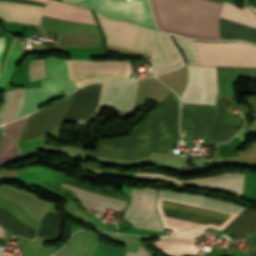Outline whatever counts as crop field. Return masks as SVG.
<instances>
[{"instance_id": "1", "label": "crop field", "mask_w": 256, "mask_h": 256, "mask_svg": "<svg viewBox=\"0 0 256 256\" xmlns=\"http://www.w3.org/2000/svg\"><path fill=\"white\" fill-rule=\"evenodd\" d=\"M179 99L171 91L163 104L148 112L128 137L100 141L96 155L141 160L156 151L167 154L177 138Z\"/></svg>"}, {"instance_id": "2", "label": "crop field", "mask_w": 256, "mask_h": 256, "mask_svg": "<svg viewBox=\"0 0 256 256\" xmlns=\"http://www.w3.org/2000/svg\"><path fill=\"white\" fill-rule=\"evenodd\" d=\"M159 29L197 39H220L223 4L210 0H151Z\"/></svg>"}, {"instance_id": "3", "label": "crop field", "mask_w": 256, "mask_h": 256, "mask_svg": "<svg viewBox=\"0 0 256 256\" xmlns=\"http://www.w3.org/2000/svg\"><path fill=\"white\" fill-rule=\"evenodd\" d=\"M188 80L182 102L216 105L218 85L216 67L187 66ZM182 103L181 135L209 139L216 106Z\"/></svg>"}, {"instance_id": "4", "label": "crop field", "mask_w": 256, "mask_h": 256, "mask_svg": "<svg viewBox=\"0 0 256 256\" xmlns=\"http://www.w3.org/2000/svg\"><path fill=\"white\" fill-rule=\"evenodd\" d=\"M95 13L107 35V44L151 54L153 75L182 65L168 34Z\"/></svg>"}, {"instance_id": "5", "label": "crop field", "mask_w": 256, "mask_h": 256, "mask_svg": "<svg viewBox=\"0 0 256 256\" xmlns=\"http://www.w3.org/2000/svg\"><path fill=\"white\" fill-rule=\"evenodd\" d=\"M43 14L77 22L95 23L88 8L74 6L49 0ZM66 21L44 16L41 27L43 30L57 34L62 33ZM100 36L95 24L67 21L61 36L60 47L100 46Z\"/></svg>"}, {"instance_id": "6", "label": "crop field", "mask_w": 256, "mask_h": 256, "mask_svg": "<svg viewBox=\"0 0 256 256\" xmlns=\"http://www.w3.org/2000/svg\"><path fill=\"white\" fill-rule=\"evenodd\" d=\"M46 62L50 77L41 80L42 88H24L16 119L37 111L36 105L47 99L63 91L68 95L78 88L68 77L66 61L48 58Z\"/></svg>"}, {"instance_id": "7", "label": "crop field", "mask_w": 256, "mask_h": 256, "mask_svg": "<svg viewBox=\"0 0 256 256\" xmlns=\"http://www.w3.org/2000/svg\"><path fill=\"white\" fill-rule=\"evenodd\" d=\"M201 66L227 65L256 67V46L238 42H196Z\"/></svg>"}, {"instance_id": "8", "label": "crop field", "mask_w": 256, "mask_h": 256, "mask_svg": "<svg viewBox=\"0 0 256 256\" xmlns=\"http://www.w3.org/2000/svg\"><path fill=\"white\" fill-rule=\"evenodd\" d=\"M78 4L89 6L109 18L129 19L157 29L148 0H85Z\"/></svg>"}, {"instance_id": "9", "label": "crop field", "mask_w": 256, "mask_h": 256, "mask_svg": "<svg viewBox=\"0 0 256 256\" xmlns=\"http://www.w3.org/2000/svg\"><path fill=\"white\" fill-rule=\"evenodd\" d=\"M73 94L30 115L20 142L43 139V134H58Z\"/></svg>"}, {"instance_id": "10", "label": "crop field", "mask_w": 256, "mask_h": 256, "mask_svg": "<svg viewBox=\"0 0 256 256\" xmlns=\"http://www.w3.org/2000/svg\"><path fill=\"white\" fill-rule=\"evenodd\" d=\"M156 197L157 191L154 189H137L130 186V205L126 210L125 219L131 222L134 228L163 232L154 208Z\"/></svg>"}, {"instance_id": "11", "label": "crop field", "mask_w": 256, "mask_h": 256, "mask_svg": "<svg viewBox=\"0 0 256 256\" xmlns=\"http://www.w3.org/2000/svg\"><path fill=\"white\" fill-rule=\"evenodd\" d=\"M135 175L140 178L165 180V181L175 182L179 184H193V185H200V186L215 187V188H219L222 190H226L233 193H239V194H242V191H243L244 173H239V174L226 173V174H222L214 177L192 179V180H179V179L161 175V174L145 173V172H136Z\"/></svg>"}, {"instance_id": "12", "label": "crop field", "mask_w": 256, "mask_h": 256, "mask_svg": "<svg viewBox=\"0 0 256 256\" xmlns=\"http://www.w3.org/2000/svg\"><path fill=\"white\" fill-rule=\"evenodd\" d=\"M138 80L103 83L100 104L132 112Z\"/></svg>"}, {"instance_id": "13", "label": "crop field", "mask_w": 256, "mask_h": 256, "mask_svg": "<svg viewBox=\"0 0 256 256\" xmlns=\"http://www.w3.org/2000/svg\"><path fill=\"white\" fill-rule=\"evenodd\" d=\"M161 199L231 212L239 214L244 208L240 207L238 205L230 204L227 202L220 201L218 199H210L205 198L203 196H195V195H188V194H178L169 192L166 190L160 191V197Z\"/></svg>"}, {"instance_id": "14", "label": "crop field", "mask_w": 256, "mask_h": 256, "mask_svg": "<svg viewBox=\"0 0 256 256\" xmlns=\"http://www.w3.org/2000/svg\"><path fill=\"white\" fill-rule=\"evenodd\" d=\"M41 9L40 6L0 2V17L6 21L39 25Z\"/></svg>"}, {"instance_id": "15", "label": "crop field", "mask_w": 256, "mask_h": 256, "mask_svg": "<svg viewBox=\"0 0 256 256\" xmlns=\"http://www.w3.org/2000/svg\"><path fill=\"white\" fill-rule=\"evenodd\" d=\"M60 186L66 187L70 189L72 192L76 193L80 198L82 205L92 207L95 209L106 211V209L109 208V209L121 211L127 204L126 202H122V201L101 196L98 194L90 193V192L69 187L66 185L60 184Z\"/></svg>"}, {"instance_id": "16", "label": "crop field", "mask_w": 256, "mask_h": 256, "mask_svg": "<svg viewBox=\"0 0 256 256\" xmlns=\"http://www.w3.org/2000/svg\"><path fill=\"white\" fill-rule=\"evenodd\" d=\"M245 1L256 6V0ZM251 4L249 5L256 10V7ZM220 16L246 26L256 28V15L246 6L244 7V10H240L235 5L225 2Z\"/></svg>"}, {"instance_id": "17", "label": "crop field", "mask_w": 256, "mask_h": 256, "mask_svg": "<svg viewBox=\"0 0 256 256\" xmlns=\"http://www.w3.org/2000/svg\"><path fill=\"white\" fill-rule=\"evenodd\" d=\"M255 228L256 211L245 208L223 230L243 238Z\"/></svg>"}, {"instance_id": "18", "label": "crop field", "mask_w": 256, "mask_h": 256, "mask_svg": "<svg viewBox=\"0 0 256 256\" xmlns=\"http://www.w3.org/2000/svg\"><path fill=\"white\" fill-rule=\"evenodd\" d=\"M225 112H226V106H225L223 100H218L216 120L214 123L211 140H215V141L220 140V138L222 136L223 128H224ZM239 130H240L239 128L225 126L223 136H222L220 142L228 141ZM212 142H214V141H212Z\"/></svg>"}, {"instance_id": "19", "label": "crop field", "mask_w": 256, "mask_h": 256, "mask_svg": "<svg viewBox=\"0 0 256 256\" xmlns=\"http://www.w3.org/2000/svg\"><path fill=\"white\" fill-rule=\"evenodd\" d=\"M177 43L184 50L188 64H199L197 48L192 39H184L173 35Z\"/></svg>"}, {"instance_id": "20", "label": "crop field", "mask_w": 256, "mask_h": 256, "mask_svg": "<svg viewBox=\"0 0 256 256\" xmlns=\"http://www.w3.org/2000/svg\"><path fill=\"white\" fill-rule=\"evenodd\" d=\"M22 91H23V89L13 90L11 101H10L7 111L2 119L1 124L11 122L15 119L16 114L19 109V106H20V103H21Z\"/></svg>"}, {"instance_id": "21", "label": "crop field", "mask_w": 256, "mask_h": 256, "mask_svg": "<svg viewBox=\"0 0 256 256\" xmlns=\"http://www.w3.org/2000/svg\"><path fill=\"white\" fill-rule=\"evenodd\" d=\"M19 55V45L14 42L11 52L6 60L5 68L3 74L0 76V89L4 86L8 78L10 77L12 70L14 68V63Z\"/></svg>"}, {"instance_id": "22", "label": "crop field", "mask_w": 256, "mask_h": 256, "mask_svg": "<svg viewBox=\"0 0 256 256\" xmlns=\"http://www.w3.org/2000/svg\"><path fill=\"white\" fill-rule=\"evenodd\" d=\"M29 72L31 76V81H36L38 79L46 77L44 60L31 61Z\"/></svg>"}, {"instance_id": "23", "label": "crop field", "mask_w": 256, "mask_h": 256, "mask_svg": "<svg viewBox=\"0 0 256 256\" xmlns=\"http://www.w3.org/2000/svg\"><path fill=\"white\" fill-rule=\"evenodd\" d=\"M151 254H152V251H150L147 247H145L142 244L138 254L125 251L123 256H150Z\"/></svg>"}, {"instance_id": "24", "label": "crop field", "mask_w": 256, "mask_h": 256, "mask_svg": "<svg viewBox=\"0 0 256 256\" xmlns=\"http://www.w3.org/2000/svg\"><path fill=\"white\" fill-rule=\"evenodd\" d=\"M11 92H12V90L11 91H7L6 94H5V98H4L3 104L0 107V120H1V118H2L6 108L8 106L9 101H10Z\"/></svg>"}, {"instance_id": "25", "label": "crop field", "mask_w": 256, "mask_h": 256, "mask_svg": "<svg viewBox=\"0 0 256 256\" xmlns=\"http://www.w3.org/2000/svg\"><path fill=\"white\" fill-rule=\"evenodd\" d=\"M82 167H84V168H86V169L95 170V171H98V172L110 174V175H115V176L135 177L134 175H120V174L108 173V172L100 171V170L93 169V168H90V167H87V166H83V165H82Z\"/></svg>"}, {"instance_id": "26", "label": "crop field", "mask_w": 256, "mask_h": 256, "mask_svg": "<svg viewBox=\"0 0 256 256\" xmlns=\"http://www.w3.org/2000/svg\"><path fill=\"white\" fill-rule=\"evenodd\" d=\"M4 44H5V38L3 36V37H0V57H1L2 52H3Z\"/></svg>"}, {"instance_id": "27", "label": "crop field", "mask_w": 256, "mask_h": 256, "mask_svg": "<svg viewBox=\"0 0 256 256\" xmlns=\"http://www.w3.org/2000/svg\"><path fill=\"white\" fill-rule=\"evenodd\" d=\"M65 2L78 3L81 0H63Z\"/></svg>"}, {"instance_id": "28", "label": "crop field", "mask_w": 256, "mask_h": 256, "mask_svg": "<svg viewBox=\"0 0 256 256\" xmlns=\"http://www.w3.org/2000/svg\"><path fill=\"white\" fill-rule=\"evenodd\" d=\"M0 237H4L3 229L0 228Z\"/></svg>"}, {"instance_id": "29", "label": "crop field", "mask_w": 256, "mask_h": 256, "mask_svg": "<svg viewBox=\"0 0 256 256\" xmlns=\"http://www.w3.org/2000/svg\"><path fill=\"white\" fill-rule=\"evenodd\" d=\"M35 1H40V2H44V3L47 2V0H35Z\"/></svg>"}, {"instance_id": "30", "label": "crop field", "mask_w": 256, "mask_h": 256, "mask_svg": "<svg viewBox=\"0 0 256 256\" xmlns=\"http://www.w3.org/2000/svg\"><path fill=\"white\" fill-rule=\"evenodd\" d=\"M253 247H254V249L256 250V244H255Z\"/></svg>"}, {"instance_id": "31", "label": "crop field", "mask_w": 256, "mask_h": 256, "mask_svg": "<svg viewBox=\"0 0 256 256\" xmlns=\"http://www.w3.org/2000/svg\"><path fill=\"white\" fill-rule=\"evenodd\" d=\"M216 1H221V2H223L224 0H216Z\"/></svg>"}, {"instance_id": "32", "label": "crop field", "mask_w": 256, "mask_h": 256, "mask_svg": "<svg viewBox=\"0 0 256 256\" xmlns=\"http://www.w3.org/2000/svg\"><path fill=\"white\" fill-rule=\"evenodd\" d=\"M0 256H3V254L0 253Z\"/></svg>"}]
</instances>
